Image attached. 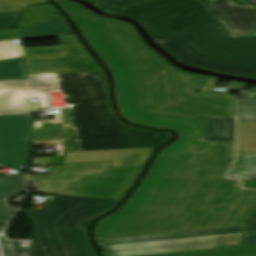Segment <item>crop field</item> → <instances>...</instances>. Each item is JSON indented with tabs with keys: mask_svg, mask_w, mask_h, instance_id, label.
Wrapping results in <instances>:
<instances>
[{
	"mask_svg": "<svg viewBox=\"0 0 256 256\" xmlns=\"http://www.w3.org/2000/svg\"><path fill=\"white\" fill-rule=\"evenodd\" d=\"M56 1L111 67L123 116L180 134L159 154L129 204L97 226L98 240L243 225L256 211V191L226 178L234 143L203 141L209 116L235 118L234 96L194 94L213 78L170 66L128 23Z\"/></svg>",
	"mask_w": 256,
	"mask_h": 256,
	"instance_id": "crop-field-1",
	"label": "crop field"
},
{
	"mask_svg": "<svg viewBox=\"0 0 256 256\" xmlns=\"http://www.w3.org/2000/svg\"><path fill=\"white\" fill-rule=\"evenodd\" d=\"M104 72L29 74L24 79L0 80V115L22 114L50 107L48 90L61 89L79 151L157 147L171 134L146 131L121 122L109 107ZM55 123L54 121L33 124ZM71 126V123H70ZM73 148L77 151L72 132Z\"/></svg>",
	"mask_w": 256,
	"mask_h": 256,
	"instance_id": "crop-field-2",
	"label": "crop field"
},
{
	"mask_svg": "<svg viewBox=\"0 0 256 256\" xmlns=\"http://www.w3.org/2000/svg\"><path fill=\"white\" fill-rule=\"evenodd\" d=\"M116 202L58 195L44 211H21L32 224L34 256H94L81 223Z\"/></svg>",
	"mask_w": 256,
	"mask_h": 256,
	"instance_id": "crop-field-3",
	"label": "crop field"
},
{
	"mask_svg": "<svg viewBox=\"0 0 256 256\" xmlns=\"http://www.w3.org/2000/svg\"><path fill=\"white\" fill-rule=\"evenodd\" d=\"M157 42L184 63L256 78V37L231 38L221 22Z\"/></svg>",
	"mask_w": 256,
	"mask_h": 256,
	"instance_id": "crop-field-4",
	"label": "crop field"
},
{
	"mask_svg": "<svg viewBox=\"0 0 256 256\" xmlns=\"http://www.w3.org/2000/svg\"><path fill=\"white\" fill-rule=\"evenodd\" d=\"M112 161L65 164L62 174L28 176L44 193L121 200L141 169H108Z\"/></svg>",
	"mask_w": 256,
	"mask_h": 256,
	"instance_id": "crop-field-5",
	"label": "crop field"
},
{
	"mask_svg": "<svg viewBox=\"0 0 256 256\" xmlns=\"http://www.w3.org/2000/svg\"><path fill=\"white\" fill-rule=\"evenodd\" d=\"M120 14L142 20L155 40L221 21L205 0H153Z\"/></svg>",
	"mask_w": 256,
	"mask_h": 256,
	"instance_id": "crop-field-6",
	"label": "crop field"
},
{
	"mask_svg": "<svg viewBox=\"0 0 256 256\" xmlns=\"http://www.w3.org/2000/svg\"><path fill=\"white\" fill-rule=\"evenodd\" d=\"M33 126L30 115L0 117V165L27 167Z\"/></svg>",
	"mask_w": 256,
	"mask_h": 256,
	"instance_id": "crop-field-7",
	"label": "crop field"
},
{
	"mask_svg": "<svg viewBox=\"0 0 256 256\" xmlns=\"http://www.w3.org/2000/svg\"><path fill=\"white\" fill-rule=\"evenodd\" d=\"M242 233L102 248L104 256L157 254L239 244Z\"/></svg>",
	"mask_w": 256,
	"mask_h": 256,
	"instance_id": "crop-field-8",
	"label": "crop field"
},
{
	"mask_svg": "<svg viewBox=\"0 0 256 256\" xmlns=\"http://www.w3.org/2000/svg\"><path fill=\"white\" fill-rule=\"evenodd\" d=\"M23 49L28 73L102 71L93 59L71 60L62 46Z\"/></svg>",
	"mask_w": 256,
	"mask_h": 256,
	"instance_id": "crop-field-9",
	"label": "crop field"
},
{
	"mask_svg": "<svg viewBox=\"0 0 256 256\" xmlns=\"http://www.w3.org/2000/svg\"><path fill=\"white\" fill-rule=\"evenodd\" d=\"M229 178L256 181V121H238V155Z\"/></svg>",
	"mask_w": 256,
	"mask_h": 256,
	"instance_id": "crop-field-10",
	"label": "crop field"
},
{
	"mask_svg": "<svg viewBox=\"0 0 256 256\" xmlns=\"http://www.w3.org/2000/svg\"><path fill=\"white\" fill-rule=\"evenodd\" d=\"M210 5L219 13L232 35L256 33V10L239 0H217Z\"/></svg>",
	"mask_w": 256,
	"mask_h": 256,
	"instance_id": "crop-field-11",
	"label": "crop field"
},
{
	"mask_svg": "<svg viewBox=\"0 0 256 256\" xmlns=\"http://www.w3.org/2000/svg\"><path fill=\"white\" fill-rule=\"evenodd\" d=\"M153 149L66 153L64 163L113 160L111 167L143 166Z\"/></svg>",
	"mask_w": 256,
	"mask_h": 256,
	"instance_id": "crop-field-12",
	"label": "crop field"
},
{
	"mask_svg": "<svg viewBox=\"0 0 256 256\" xmlns=\"http://www.w3.org/2000/svg\"><path fill=\"white\" fill-rule=\"evenodd\" d=\"M243 226L99 241L101 247L242 232Z\"/></svg>",
	"mask_w": 256,
	"mask_h": 256,
	"instance_id": "crop-field-13",
	"label": "crop field"
},
{
	"mask_svg": "<svg viewBox=\"0 0 256 256\" xmlns=\"http://www.w3.org/2000/svg\"><path fill=\"white\" fill-rule=\"evenodd\" d=\"M70 34L73 33L68 23L60 14H57L15 35L20 39H30Z\"/></svg>",
	"mask_w": 256,
	"mask_h": 256,
	"instance_id": "crop-field-14",
	"label": "crop field"
},
{
	"mask_svg": "<svg viewBox=\"0 0 256 256\" xmlns=\"http://www.w3.org/2000/svg\"><path fill=\"white\" fill-rule=\"evenodd\" d=\"M235 119L210 117L204 140L234 142Z\"/></svg>",
	"mask_w": 256,
	"mask_h": 256,
	"instance_id": "crop-field-15",
	"label": "crop field"
},
{
	"mask_svg": "<svg viewBox=\"0 0 256 256\" xmlns=\"http://www.w3.org/2000/svg\"><path fill=\"white\" fill-rule=\"evenodd\" d=\"M153 256H256V245L225 249H204L186 252L157 254Z\"/></svg>",
	"mask_w": 256,
	"mask_h": 256,
	"instance_id": "crop-field-16",
	"label": "crop field"
},
{
	"mask_svg": "<svg viewBox=\"0 0 256 256\" xmlns=\"http://www.w3.org/2000/svg\"><path fill=\"white\" fill-rule=\"evenodd\" d=\"M57 13L58 12L51 5L31 6L25 11V14L23 16V19H22L19 29L5 30L6 35L12 39H18L13 34L19 32L33 24H36L52 15H55Z\"/></svg>",
	"mask_w": 256,
	"mask_h": 256,
	"instance_id": "crop-field-17",
	"label": "crop field"
},
{
	"mask_svg": "<svg viewBox=\"0 0 256 256\" xmlns=\"http://www.w3.org/2000/svg\"><path fill=\"white\" fill-rule=\"evenodd\" d=\"M24 177L25 174L0 175V195H8V198L11 199L26 192Z\"/></svg>",
	"mask_w": 256,
	"mask_h": 256,
	"instance_id": "crop-field-18",
	"label": "crop field"
},
{
	"mask_svg": "<svg viewBox=\"0 0 256 256\" xmlns=\"http://www.w3.org/2000/svg\"><path fill=\"white\" fill-rule=\"evenodd\" d=\"M27 78L24 57L0 61V79Z\"/></svg>",
	"mask_w": 256,
	"mask_h": 256,
	"instance_id": "crop-field-19",
	"label": "crop field"
},
{
	"mask_svg": "<svg viewBox=\"0 0 256 256\" xmlns=\"http://www.w3.org/2000/svg\"><path fill=\"white\" fill-rule=\"evenodd\" d=\"M71 59L91 58L75 35L58 37Z\"/></svg>",
	"mask_w": 256,
	"mask_h": 256,
	"instance_id": "crop-field-20",
	"label": "crop field"
},
{
	"mask_svg": "<svg viewBox=\"0 0 256 256\" xmlns=\"http://www.w3.org/2000/svg\"><path fill=\"white\" fill-rule=\"evenodd\" d=\"M238 101V120H256V92H246Z\"/></svg>",
	"mask_w": 256,
	"mask_h": 256,
	"instance_id": "crop-field-21",
	"label": "crop field"
},
{
	"mask_svg": "<svg viewBox=\"0 0 256 256\" xmlns=\"http://www.w3.org/2000/svg\"><path fill=\"white\" fill-rule=\"evenodd\" d=\"M46 2L47 0H0V13L22 11L30 5Z\"/></svg>",
	"mask_w": 256,
	"mask_h": 256,
	"instance_id": "crop-field-22",
	"label": "crop field"
},
{
	"mask_svg": "<svg viewBox=\"0 0 256 256\" xmlns=\"http://www.w3.org/2000/svg\"><path fill=\"white\" fill-rule=\"evenodd\" d=\"M142 1L144 0H101L97 3L102 9L115 13Z\"/></svg>",
	"mask_w": 256,
	"mask_h": 256,
	"instance_id": "crop-field-23",
	"label": "crop field"
},
{
	"mask_svg": "<svg viewBox=\"0 0 256 256\" xmlns=\"http://www.w3.org/2000/svg\"><path fill=\"white\" fill-rule=\"evenodd\" d=\"M24 56L22 47L12 41L0 42V60Z\"/></svg>",
	"mask_w": 256,
	"mask_h": 256,
	"instance_id": "crop-field-24",
	"label": "crop field"
},
{
	"mask_svg": "<svg viewBox=\"0 0 256 256\" xmlns=\"http://www.w3.org/2000/svg\"><path fill=\"white\" fill-rule=\"evenodd\" d=\"M7 256H33V248H20L19 242L3 240Z\"/></svg>",
	"mask_w": 256,
	"mask_h": 256,
	"instance_id": "crop-field-25",
	"label": "crop field"
},
{
	"mask_svg": "<svg viewBox=\"0 0 256 256\" xmlns=\"http://www.w3.org/2000/svg\"><path fill=\"white\" fill-rule=\"evenodd\" d=\"M22 13V12H21ZM20 13L0 17V28H12L16 26V19Z\"/></svg>",
	"mask_w": 256,
	"mask_h": 256,
	"instance_id": "crop-field-26",
	"label": "crop field"
},
{
	"mask_svg": "<svg viewBox=\"0 0 256 256\" xmlns=\"http://www.w3.org/2000/svg\"><path fill=\"white\" fill-rule=\"evenodd\" d=\"M16 210L8 204L7 196L0 197V216L14 214Z\"/></svg>",
	"mask_w": 256,
	"mask_h": 256,
	"instance_id": "crop-field-27",
	"label": "crop field"
},
{
	"mask_svg": "<svg viewBox=\"0 0 256 256\" xmlns=\"http://www.w3.org/2000/svg\"><path fill=\"white\" fill-rule=\"evenodd\" d=\"M256 244V232L244 233L242 245Z\"/></svg>",
	"mask_w": 256,
	"mask_h": 256,
	"instance_id": "crop-field-28",
	"label": "crop field"
},
{
	"mask_svg": "<svg viewBox=\"0 0 256 256\" xmlns=\"http://www.w3.org/2000/svg\"><path fill=\"white\" fill-rule=\"evenodd\" d=\"M244 188H256V182H245L243 183Z\"/></svg>",
	"mask_w": 256,
	"mask_h": 256,
	"instance_id": "crop-field-29",
	"label": "crop field"
},
{
	"mask_svg": "<svg viewBox=\"0 0 256 256\" xmlns=\"http://www.w3.org/2000/svg\"><path fill=\"white\" fill-rule=\"evenodd\" d=\"M13 215L0 217V224H7Z\"/></svg>",
	"mask_w": 256,
	"mask_h": 256,
	"instance_id": "crop-field-30",
	"label": "crop field"
},
{
	"mask_svg": "<svg viewBox=\"0 0 256 256\" xmlns=\"http://www.w3.org/2000/svg\"><path fill=\"white\" fill-rule=\"evenodd\" d=\"M256 231V225L246 226L245 232Z\"/></svg>",
	"mask_w": 256,
	"mask_h": 256,
	"instance_id": "crop-field-31",
	"label": "crop field"
},
{
	"mask_svg": "<svg viewBox=\"0 0 256 256\" xmlns=\"http://www.w3.org/2000/svg\"><path fill=\"white\" fill-rule=\"evenodd\" d=\"M245 84L244 83H239L237 82V86H236V90L239 91V90H244V87Z\"/></svg>",
	"mask_w": 256,
	"mask_h": 256,
	"instance_id": "crop-field-32",
	"label": "crop field"
},
{
	"mask_svg": "<svg viewBox=\"0 0 256 256\" xmlns=\"http://www.w3.org/2000/svg\"><path fill=\"white\" fill-rule=\"evenodd\" d=\"M251 224H256V215H254L252 217V219L250 221H248V223L246 225H251Z\"/></svg>",
	"mask_w": 256,
	"mask_h": 256,
	"instance_id": "crop-field-33",
	"label": "crop field"
},
{
	"mask_svg": "<svg viewBox=\"0 0 256 256\" xmlns=\"http://www.w3.org/2000/svg\"><path fill=\"white\" fill-rule=\"evenodd\" d=\"M247 3H249L250 5L256 7V0H245Z\"/></svg>",
	"mask_w": 256,
	"mask_h": 256,
	"instance_id": "crop-field-34",
	"label": "crop field"
},
{
	"mask_svg": "<svg viewBox=\"0 0 256 256\" xmlns=\"http://www.w3.org/2000/svg\"><path fill=\"white\" fill-rule=\"evenodd\" d=\"M144 256H152V255H144Z\"/></svg>",
	"mask_w": 256,
	"mask_h": 256,
	"instance_id": "crop-field-35",
	"label": "crop field"
},
{
	"mask_svg": "<svg viewBox=\"0 0 256 256\" xmlns=\"http://www.w3.org/2000/svg\"><path fill=\"white\" fill-rule=\"evenodd\" d=\"M209 1H214V0H209Z\"/></svg>",
	"mask_w": 256,
	"mask_h": 256,
	"instance_id": "crop-field-36",
	"label": "crop field"
}]
</instances>
